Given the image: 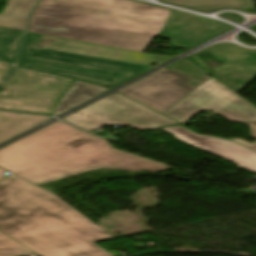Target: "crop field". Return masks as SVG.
I'll return each mask as SVG.
<instances>
[{"instance_id": "crop-field-5", "label": "crop field", "mask_w": 256, "mask_h": 256, "mask_svg": "<svg viewBox=\"0 0 256 256\" xmlns=\"http://www.w3.org/2000/svg\"><path fill=\"white\" fill-rule=\"evenodd\" d=\"M52 39V36L26 32L16 66L101 86H117L151 69L45 50Z\"/></svg>"}, {"instance_id": "crop-field-3", "label": "crop field", "mask_w": 256, "mask_h": 256, "mask_svg": "<svg viewBox=\"0 0 256 256\" xmlns=\"http://www.w3.org/2000/svg\"><path fill=\"white\" fill-rule=\"evenodd\" d=\"M170 12L125 0H41L27 31L143 52Z\"/></svg>"}, {"instance_id": "crop-field-7", "label": "crop field", "mask_w": 256, "mask_h": 256, "mask_svg": "<svg viewBox=\"0 0 256 256\" xmlns=\"http://www.w3.org/2000/svg\"><path fill=\"white\" fill-rule=\"evenodd\" d=\"M190 78L162 69L118 92L163 114L194 90L184 84Z\"/></svg>"}, {"instance_id": "crop-field-12", "label": "crop field", "mask_w": 256, "mask_h": 256, "mask_svg": "<svg viewBox=\"0 0 256 256\" xmlns=\"http://www.w3.org/2000/svg\"><path fill=\"white\" fill-rule=\"evenodd\" d=\"M23 33L0 27V61L14 64Z\"/></svg>"}, {"instance_id": "crop-field-11", "label": "crop field", "mask_w": 256, "mask_h": 256, "mask_svg": "<svg viewBox=\"0 0 256 256\" xmlns=\"http://www.w3.org/2000/svg\"><path fill=\"white\" fill-rule=\"evenodd\" d=\"M109 89L93 84H88L84 82L77 81L64 95V97L59 102L54 116L80 104L83 103Z\"/></svg>"}, {"instance_id": "crop-field-8", "label": "crop field", "mask_w": 256, "mask_h": 256, "mask_svg": "<svg viewBox=\"0 0 256 256\" xmlns=\"http://www.w3.org/2000/svg\"><path fill=\"white\" fill-rule=\"evenodd\" d=\"M179 140L207 151L225 161L256 173V152L235 142L197 135L180 126L162 128Z\"/></svg>"}, {"instance_id": "crop-field-16", "label": "crop field", "mask_w": 256, "mask_h": 256, "mask_svg": "<svg viewBox=\"0 0 256 256\" xmlns=\"http://www.w3.org/2000/svg\"><path fill=\"white\" fill-rule=\"evenodd\" d=\"M12 68L13 66L11 65L0 63V84L6 78V76L11 72Z\"/></svg>"}, {"instance_id": "crop-field-17", "label": "crop field", "mask_w": 256, "mask_h": 256, "mask_svg": "<svg viewBox=\"0 0 256 256\" xmlns=\"http://www.w3.org/2000/svg\"><path fill=\"white\" fill-rule=\"evenodd\" d=\"M4 172H6V171H4V170L0 169V179H2V178H4V177H5L4 175H2Z\"/></svg>"}, {"instance_id": "crop-field-4", "label": "crop field", "mask_w": 256, "mask_h": 256, "mask_svg": "<svg viewBox=\"0 0 256 256\" xmlns=\"http://www.w3.org/2000/svg\"><path fill=\"white\" fill-rule=\"evenodd\" d=\"M200 110H211L232 122L256 121V107L213 77L164 115L184 123ZM62 120L88 132L107 124H119L137 129L179 124L117 92Z\"/></svg>"}, {"instance_id": "crop-field-1", "label": "crop field", "mask_w": 256, "mask_h": 256, "mask_svg": "<svg viewBox=\"0 0 256 256\" xmlns=\"http://www.w3.org/2000/svg\"><path fill=\"white\" fill-rule=\"evenodd\" d=\"M0 231L41 256H114L94 243L113 237L15 175L0 182Z\"/></svg>"}, {"instance_id": "crop-field-15", "label": "crop field", "mask_w": 256, "mask_h": 256, "mask_svg": "<svg viewBox=\"0 0 256 256\" xmlns=\"http://www.w3.org/2000/svg\"><path fill=\"white\" fill-rule=\"evenodd\" d=\"M15 246H22V245H20L19 243L15 242L14 240L0 233V247H15Z\"/></svg>"}, {"instance_id": "crop-field-10", "label": "crop field", "mask_w": 256, "mask_h": 256, "mask_svg": "<svg viewBox=\"0 0 256 256\" xmlns=\"http://www.w3.org/2000/svg\"><path fill=\"white\" fill-rule=\"evenodd\" d=\"M37 0H9L0 15V26L17 30H25L27 17Z\"/></svg>"}, {"instance_id": "crop-field-6", "label": "crop field", "mask_w": 256, "mask_h": 256, "mask_svg": "<svg viewBox=\"0 0 256 256\" xmlns=\"http://www.w3.org/2000/svg\"><path fill=\"white\" fill-rule=\"evenodd\" d=\"M75 80L16 67L1 87L0 109L51 114ZM4 90L6 95L1 94Z\"/></svg>"}, {"instance_id": "crop-field-2", "label": "crop field", "mask_w": 256, "mask_h": 256, "mask_svg": "<svg viewBox=\"0 0 256 256\" xmlns=\"http://www.w3.org/2000/svg\"><path fill=\"white\" fill-rule=\"evenodd\" d=\"M0 166L36 184L90 170L157 173L171 167L114 149L105 139L58 121L0 150Z\"/></svg>"}, {"instance_id": "crop-field-9", "label": "crop field", "mask_w": 256, "mask_h": 256, "mask_svg": "<svg viewBox=\"0 0 256 256\" xmlns=\"http://www.w3.org/2000/svg\"><path fill=\"white\" fill-rule=\"evenodd\" d=\"M49 118L51 117L0 112V143Z\"/></svg>"}, {"instance_id": "crop-field-13", "label": "crop field", "mask_w": 256, "mask_h": 256, "mask_svg": "<svg viewBox=\"0 0 256 256\" xmlns=\"http://www.w3.org/2000/svg\"><path fill=\"white\" fill-rule=\"evenodd\" d=\"M32 252L25 247L0 248V256H26Z\"/></svg>"}, {"instance_id": "crop-field-14", "label": "crop field", "mask_w": 256, "mask_h": 256, "mask_svg": "<svg viewBox=\"0 0 256 256\" xmlns=\"http://www.w3.org/2000/svg\"><path fill=\"white\" fill-rule=\"evenodd\" d=\"M251 126V137L256 138V122L245 123ZM256 151V143L250 144L242 139H229Z\"/></svg>"}]
</instances>
